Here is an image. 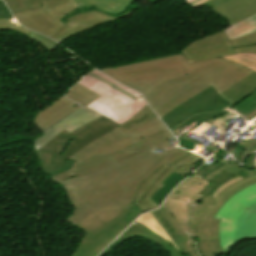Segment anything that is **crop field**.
<instances>
[{"label":"crop field","mask_w":256,"mask_h":256,"mask_svg":"<svg viewBox=\"0 0 256 256\" xmlns=\"http://www.w3.org/2000/svg\"><path fill=\"white\" fill-rule=\"evenodd\" d=\"M88 75H90V76H92V77H94V78L100 80L101 82H103V83L109 85L110 87L114 88L115 90H117V91H119V92L125 94L126 96H128L129 98H131V99L134 100V101H135L136 99H138V98H136V97H134V96H132V95L126 93L125 91L119 89V88L116 87L115 85H113V84H111V83H109V82H107V81H105V80H103V79H101V78H99V77H97V76L91 74V73H89Z\"/></svg>","instance_id":"crop-field-37"},{"label":"crop field","mask_w":256,"mask_h":256,"mask_svg":"<svg viewBox=\"0 0 256 256\" xmlns=\"http://www.w3.org/2000/svg\"><path fill=\"white\" fill-rule=\"evenodd\" d=\"M203 122L207 123L205 120ZM203 122H201L195 129H197ZM209 125L215 127L214 125H212L210 123H209ZM215 128H217V127H215Z\"/></svg>","instance_id":"crop-field-47"},{"label":"crop field","mask_w":256,"mask_h":256,"mask_svg":"<svg viewBox=\"0 0 256 256\" xmlns=\"http://www.w3.org/2000/svg\"><path fill=\"white\" fill-rule=\"evenodd\" d=\"M201 121H203V119L199 118V117H194L193 119H191L189 122H187L186 124H184L183 126H181L180 128L172 131V133L177 136L179 134H181L182 132H184L186 129L187 130H191L192 128H194L195 126H197Z\"/></svg>","instance_id":"crop-field-31"},{"label":"crop field","mask_w":256,"mask_h":256,"mask_svg":"<svg viewBox=\"0 0 256 256\" xmlns=\"http://www.w3.org/2000/svg\"><path fill=\"white\" fill-rule=\"evenodd\" d=\"M100 116L102 115L84 106L80 107L51 127L44 130L42 132L44 134L34 140L35 150L38 151L43 145H45L63 129L71 133Z\"/></svg>","instance_id":"crop-field-16"},{"label":"crop field","mask_w":256,"mask_h":256,"mask_svg":"<svg viewBox=\"0 0 256 256\" xmlns=\"http://www.w3.org/2000/svg\"><path fill=\"white\" fill-rule=\"evenodd\" d=\"M74 104L75 102L63 96L58 98L35 116V125L43 131L47 127L74 111L75 108L72 107Z\"/></svg>","instance_id":"crop-field-17"},{"label":"crop field","mask_w":256,"mask_h":256,"mask_svg":"<svg viewBox=\"0 0 256 256\" xmlns=\"http://www.w3.org/2000/svg\"><path fill=\"white\" fill-rule=\"evenodd\" d=\"M140 237L147 239L155 244L160 245L165 251L169 253V256H182L181 253H179L175 248H173L170 244L156 236L155 234L148 231L146 228L138 225L133 224L130 228H128L123 235H121L118 239L114 241L112 245H110L100 256H104L106 253H108L110 250H112L114 247H116L118 244L130 239Z\"/></svg>","instance_id":"crop-field-19"},{"label":"crop field","mask_w":256,"mask_h":256,"mask_svg":"<svg viewBox=\"0 0 256 256\" xmlns=\"http://www.w3.org/2000/svg\"><path fill=\"white\" fill-rule=\"evenodd\" d=\"M179 145L181 147H184V148H187V149H190V150H192L194 147L198 148V146H199L198 144L192 143L191 141H188V140L183 139V138L179 139Z\"/></svg>","instance_id":"crop-field-38"},{"label":"crop field","mask_w":256,"mask_h":256,"mask_svg":"<svg viewBox=\"0 0 256 256\" xmlns=\"http://www.w3.org/2000/svg\"><path fill=\"white\" fill-rule=\"evenodd\" d=\"M201 165V163H199V164H195V165H192V166H181V167H179V168H177L176 170H175V172H177L178 174H180V175H182V176H187L189 173H191V171H189L192 167H194L195 169L197 168V167H199ZM194 169V170H195Z\"/></svg>","instance_id":"crop-field-36"},{"label":"crop field","mask_w":256,"mask_h":256,"mask_svg":"<svg viewBox=\"0 0 256 256\" xmlns=\"http://www.w3.org/2000/svg\"><path fill=\"white\" fill-rule=\"evenodd\" d=\"M224 101L211 86L181 106L176 107L161 119L171 131L198 115L216 125L220 132L224 133L232 120L231 117L238 115L244 119L256 109V91L231 110H228L227 105L223 103Z\"/></svg>","instance_id":"crop-field-4"},{"label":"crop field","mask_w":256,"mask_h":256,"mask_svg":"<svg viewBox=\"0 0 256 256\" xmlns=\"http://www.w3.org/2000/svg\"><path fill=\"white\" fill-rule=\"evenodd\" d=\"M136 223L146 227L148 230H150L151 232L157 234L158 236H160L162 239H164L165 241L169 242L167 240V238L163 235V233L159 230V228L156 226V224L152 221V219L148 216V214L142 215L137 221H135Z\"/></svg>","instance_id":"crop-field-28"},{"label":"crop field","mask_w":256,"mask_h":256,"mask_svg":"<svg viewBox=\"0 0 256 256\" xmlns=\"http://www.w3.org/2000/svg\"><path fill=\"white\" fill-rule=\"evenodd\" d=\"M135 0H46L41 8L14 14L25 27L51 37L65 25L59 20L75 13L83 12L82 7L96 6L97 9L110 13H120ZM81 11L77 12L76 9Z\"/></svg>","instance_id":"crop-field-7"},{"label":"crop field","mask_w":256,"mask_h":256,"mask_svg":"<svg viewBox=\"0 0 256 256\" xmlns=\"http://www.w3.org/2000/svg\"><path fill=\"white\" fill-rule=\"evenodd\" d=\"M217 169L213 164L210 165L209 167L206 166L205 164L203 166H201L196 172L195 174H198L200 176L205 177L206 175H208L209 173H211L213 170Z\"/></svg>","instance_id":"crop-field-35"},{"label":"crop field","mask_w":256,"mask_h":256,"mask_svg":"<svg viewBox=\"0 0 256 256\" xmlns=\"http://www.w3.org/2000/svg\"><path fill=\"white\" fill-rule=\"evenodd\" d=\"M242 146H244L246 148V150L244 151V153L241 155V159H240V163H242L243 158L253 152L256 151V140L252 141V140H247L245 142L241 143Z\"/></svg>","instance_id":"crop-field-32"},{"label":"crop field","mask_w":256,"mask_h":256,"mask_svg":"<svg viewBox=\"0 0 256 256\" xmlns=\"http://www.w3.org/2000/svg\"><path fill=\"white\" fill-rule=\"evenodd\" d=\"M240 66L222 58L190 64L179 54L100 71L139 91L161 118L211 85L231 109L256 90V72Z\"/></svg>","instance_id":"crop-field-1"},{"label":"crop field","mask_w":256,"mask_h":256,"mask_svg":"<svg viewBox=\"0 0 256 256\" xmlns=\"http://www.w3.org/2000/svg\"><path fill=\"white\" fill-rule=\"evenodd\" d=\"M77 83L102 95L98 100L88 105V108L119 124L131 118L146 105L142 97L134 102L125 95L87 75Z\"/></svg>","instance_id":"crop-field-11"},{"label":"crop field","mask_w":256,"mask_h":256,"mask_svg":"<svg viewBox=\"0 0 256 256\" xmlns=\"http://www.w3.org/2000/svg\"><path fill=\"white\" fill-rule=\"evenodd\" d=\"M244 169H246L244 166L240 167L236 162L233 165H231L229 162V163L223 165L222 167L218 168L217 170L213 171L211 174H209L204 179L209 182L214 176H216L218 173L222 172L223 170L226 171L231 176H233L234 174H236Z\"/></svg>","instance_id":"crop-field-27"},{"label":"crop field","mask_w":256,"mask_h":256,"mask_svg":"<svg viewBox=\"0 0 256 256\" xmlns=\"http://www.w3.org/2000/svg\"><path fill=\"white\" fill-rule=\"evenodd\" d=\"M255 173L256 169H246L231 177L223 171L209 183L193 174L152 213L185 256H198L191 240L198 239L201 218L219 201L214 197L232 183Z\"/></svg>","instance_id":"crop-field-3"},{"label":"crop field","mask_w":256,"mask_h":256,"mask_svg":"<svg viewBox=\"0 0 256 256\" xmlns=\"http://www.w3.org/2000/svg\"><path fill=\"white\" fill-rule=\"evenodd\" d=\"M118 125L102 116L71 134L63 130L37 152L44 172L53 177L69 170L75 162L70 156Z\"/></svg>","instance_id":"crop-field-6"},{"label":"crop field","mask_w":256,"mask_h":256,"mask_svg":"<svg viewBox=\"0 0 256 256\" xmlns=\"http://www.w3.org/2000/svg\"><path fill=\"white\" fill-rule=\"evenodd\" d=\"M146 139L151 141L158 148H172L176 146V143H177V140L174 138V136L170 133L169 130L141 139L139 141H136V143Z\"/></svg>","instance_id":"crop-field-23"},{"label":"crop field","mask_w":256,"mask_h":256,"mask_svg":"<svg viewBox=\"0 0 256 256\" xmlns=\"http://www.w3.org/2000/svg\"><path fill=\"white\" fill-rule=\"evenodd\" d=\"M231 62L245 65L256 71V54H239L222 57Z\"/></svg>","instance_id":"crop-field-26"},{"label":"crop field","mask_w":256,"mask_h":256,"mask_svg":"<svg viewBox=\"0 0 256 256\" xmlns=\"http://www.w3.org/2000/svg\"><path fill=\"white\" fill-rule=\"evenodd\" d=\"M137 1V0H136Z\"/></svg>","instance_id":"crop-field-49"},{"label":"crop field","mask_w":256,"mask_h":256,"mask_svg":"<svg viewBox=\"0 0 256 256\" xmlns=\"http://www.w3.org/2000/svg\"><path fill=\"white\" fill-rule=\"evenodd\" d=\"M181 53L190 63L230 54L256 53V33L229 41L222 30L189 44Z\"/></svg>","instance_id":"crop-field-10"},{"label":"crop field","mask_w":256,"mask_h":256,"mask_svg":"<svg viewBox=\"0 0 256 256\" xmlns=\"http://www.w3.org/2000/svg\"><path fill=\"white\" fill-rule=\"evenodd\" d=\"M166 128L159 119L129 134L116 128L73 155L71 158L77 161L71 170L75 172L108 159L114 162L126 155L135 153V151L120 149L135 144L134 141L138 139L166 130Z\"/></svg>","instance_id":"crop-field-9"},{"label":"crop field","mask_w":256,"mask_h":256,"mask_svg":"<svg viewBox=\"0 0 256 256\" xmlns=\"http://www.w3.org/2000/svg\"><path fill=\"white\" fill-rule=\"evenodd\" d=\"M136 10H138V7L118 17H111L110 13L98 10L75 14L69 18L68 24L51 38L62 43L77 33L100 26L106 22L123 18Z\"/></svg>","instance_id":"crop-field-15"},{"label":"crop field","mask_w":256,"mask_h":256,"mask_svg":"<svg viewBox=\"0 0 256 256\" xmlns=\"http://www.w3.org/2000/svg\"><path fill=\"white\" fill-rule=\"evenodd\" d=\"M157 149L156 146H154L151 142H149L148 140L143 141L141 143L135 144L133 146L127 147L125 148V150H135V151H140L138 153L126 156L116 162H112L110 160L105 161L103 163L94 165L92 167L80 170L78 172L73 173L71 170L62 173L60 175H57L53 178H51L53 181H55L56 183L60 184V185H65L116 167H119L120 165H123L139 156H142L150 151H153Z\"/></svg>","instance_id":"crop-field-14"},{"label":"crop field","mask_w":256,"mask_h":256,"mask_svg":"<svg viewBox=\"0 0 256 256\" xmlns=\"http://www.w3.org/2000/svg\"><path fill=\"white\" fill-rule=\"evenodd\" d=\"M256 116V110H254L249 116H247L244 120L245 122H249L252 118Z\"/></svg>","instance_id":"crop-field-43"},{"label":"crop field","mask_w":256,"mask_h":256,"mask_svg":"<svg viewBox=\"0 0 256 256\" xmlns=\"http://www.w3.org/2000/svg\"><path fill=\"white\" fill-rule=\"evenodd\" d=\"M149 216L153 219V221L157 224V226L160 228V230L164 233V235L168 238V240L170 241V244L172 246H174L178 251H180L175 244L172 242V240L169 238V236L167 235V233L165 232V230L162 228V226L160 225V223L157 221V219L152 215L151 212L148 213Z\"/></svg>","instance_id":"crop-field-39"},{"label":"crop field","mask_w":256,"mask_h":256,"mask_svg":"<svg viewBox=\"0 0 256 256\" xmlns=\"http://www.w3.org/2000/svg\"><path fill=\"white\" fill-rule=\"evenodd\" d=\"M0 19H14L3 0L0 1Z\"/></svg>","instance_id":"crop-field-34"},{"label":"crop field","mask_w":256,"mask_h":256,"mask_svg":"<svg viewBox=\"0 0 256 256\" xmlns=\"http://www.w3.org/2000/svg\"><path fill=\"white\" fill-rule=\"evenodd\" d=\"M157 119L156 115L151 111V109L146 105L139 113H137L133 118L127 120L126 122L120 124L119 129L129 133L153 120Z\"/></svg>","instance_id":"crop-field-20"},{"label":"crop field","mask_w":256,"mask_h":256,"mask_svg":"<svg viewBox=\"0 0 256 256\" xmlns=\"http://www.w3.org/2000/svg\"><path fill=\"white\" fill-rule=\"evenodd\" d=\"M187 4H191L193 2H195L196 0H185Z\"/></svg>","instance_id":"crop-field-48"},{"label":"crop field","mask_w":256,"mask_h":256,"mask_svg":"<svg viewBox=\"0 0 256 256\" xmlns=\"http://www.w3.org/2000/svg\"><path fill=\"white\" fill-rule=\"evenodd\" d=\"M196 242H197V240H196V241H193V243H194V245H195V248H196V251H197V253H198L199 256H202L201 253L199 252L198 248H197Z\"/></svg>","instance_id":"crop-field-45"},{"label":"crop field","mask_w":256,"mask_h":256,"mask_svg":"<svg viewBox=\"0 0 256 256\" xmlns=\"http://www.w3.org/2000/svg\"><path fill=\"white\" fill-rule=\"evenodd\" d=\"M28 37L37 40L39 43H41L43 46H45L50 51L58 46L57 43L51 41L49 38L41 36V35L33 33V32Z\"/></svg>","instance_id":"crop-field-30"},{"label":"crop field","mask_w":256,"mask_h":256,"mask_svg":"<svg viewBox=\"0 0 256 256\" xmlns=\"http://www.w3.org/2000/svg\"><path fill=\"white\" fill-rule=\"evenodd\" d=\"M211 10L232 25L256 13V0H232Z\"/></svg>","instance_id":"crop-field-18"},{"label":"crop field","mask_w":256,"mask_h":256,"mask_svg":"<svg viewBox=\"0 0 256 256\" xmlns=\"http://www.w3.org/2000/svg\"><path fill=\"white\" fill-rule=\"evenodd\" d=\"M245 150L244 147H242L241 145L238 146V148L236 149L234 155H235V158L237 159V161L239 162V159H240V155L242 154V152Z\"/></svg>","instance_id":"crop-field-42"},{"label":"crop field","mask_w":256,"mask_h":256,"mask_svg":"<svg viewBox=\"0 0 256 256\" xmlns=\"http://www.w3.org/2000/svg\"><path fill=\"white\" fill-rule=\"evenodd\" d=\"M140 214L142 212L134 203L104 207L93 212L75 225L86 233L71 256H97Z\"/></svg>","instance_id":"crop-field-5"},{"label":"crop field","mask_w":256,"mask_h":256,"mask_svg":"<svg viewBox=\"0 0 256 256\" xmlns=\"http://www.w3.org/2000/svg\"><path fill=\"white\" fill-rule=\"evenodd\" d=\"M179 137H183V138L188 139V138L186 137V135H184V134H183V135H181V136H179ZM188 140H190V139H188ZM191 141H192V140H191ZM195 143H196V142H195ZM198 144H199V143H198ZM207 147H208V146H207ZM209 148H211V149H213V150H215V151H216V149H214V148H212V147H210V146H209Z\"/></svg>","instance_id":"crop-field-46"},{"label":"crop field","mask_w":256,"mask_h":256,"mask_svg":"<svg viewBox=\"0 0 256 256\" xmlns=\"http://www.w3.org/2000/svg\"><path fill=\"white\" fill-rule=\"evenodd\" d=\"M11 12L17 13L19 11L30 9V8H38L40 7L41 0H4Z\"/></svg>","instance_id":"crop-field-25"},{"label":"crop field","mask_w":256,"mask_h":256,"mask_svg":"<svg viewBox=\"0 0 256 256\" xmlns=\"http://www.w3.org/2000/svg\"><path fill=\"white\" fill-rule=\"evenodd\" d=\"M255 182L256 174L232 184L215 197L220 201L202 218L199 226V240L197 245L203 256H218L223 253L218 237L219 221L212 218L230 197Z\"/></svg>","instance_id":"crop-field-12"},{"label":"crop field","mask_w":256,"mask_h":256,"mask_svg":"<svg viewBox=\"0 0 256 256\" xmlns=\"http://www.w3.org/2000/svg\"><path fill=\"white\" fill-rule=\"evenodd\" d=\"M190 152L156 150L122 167L63 186L73 207L66 220L78 223L100 207L134 201L138 186L163 164L173 165Z\"/></svg>","instance_id":"crop-field-2"},{"label":"crop field","mask_w":256,"mask_h":256,"mask_svg":"<svg viewBox=\"0 0 256 256\" xmlns=\"http://www.w3.org/2000/svg\"><path fill=\"white\" fill-rule=\"evenodd\" d=\"M183 178L184 177L173 172V174L163 182L165 185L158 192H156V194L151 199L160 205L166 194Z\"/></svg>","instance_id":"crop-field-24"},{"label":"crop field","mask_w":256,"mask_h":256,"mask_svg":"<svg viewBox=\"0 0 256 256\" xmlns=\"http://www.w3.org/2000/svg\"><path fill=\"white\" fill-rule=\"evenodd\" d=\"M0 30H12L26 36H28L31 33V31L22 27L15 20H0Z\"/></svg>","instance_id":"crop-field-29"},{"label":"crop field","mask_w":256,"mask_h":256,"mask_svg":"<svg viewBox=\"0 0 256 256\" xmlns=\"http://www.w3.org/2000/svg\"><path fill=\"white\" fill-rule=\"evenodd\" d=\"M256 153L251 154L248 159L246 160V164L244 165L246 168H256L254 165V158Z\"/></svg>","instance_id":"crop-field-41"},{"label":"crop field","mask_w":256,"mask_h":256,"mask_svg":"<svg viewBox=\"0 0 256 256\" xmlns=\"http://www.w3.org/2000/svg\"><path fill=\"white\" fill-rule=\"evenodd\" d=\"M229 40L256 32V14L224 29Z\"/></svg>","instance_id":"crop-field-21"},{"label":"crop field","mask_w":256,"mask_h":256,"mask_svg":"<svg viewBox=\"0 0 256 256\" xmlns=\"http://www.w3.org/2000/svg\"><path fill=\"white\" fill-rule=\"evenodd\" d=\"M199 159H201V157L191 153L171 167L166 164L160 167L140 185L137 190L134 203L141 209L142 212L156 208L158 205H156V203L150 198L163 186L161 183L168 176H170L177 167L181 165H192L198 163L197 160Z\"/></svg>","instance_id":"crop-field-13"},{"label":"crop field","mask_w":256,"mask_h":256,"mask_svg":"<svg viewBox=\"0 0 256 256\" xmlns=\"http://www.w3.org/2000/svg\"><path fill=\"white\" fill-rule=\"evenodd\" d=\"M215 219L223 251L244 238H256V183L229 199Z\"/></svg>","instance_id":"crop-field-8"},{"label":"crop field","mask_w":256,"mask_h":256,"mask_svg":"<svg viewBox=\"0 0 256 256\" xmlns=\"http://www.w3.org/2000/svg\"><path fill=\"white\" fill-rule=\"evenodd\" d=\"M227 1H230V0H210V1L206 2V3H204V5H206L209 8H213V7L218 6V5L222 4V3H225Z\"/></svg>","instance_id":"crop-field-40"},{"label":"crop field","mask_w":256,"mask_h":256,"mask_svg":"<svg viewBox=\"0 0 256 256\" xmlns=\"http://www.w3.org/2000/svg\"><path fill=\"white\" fill-rule=\"evenodd\" d=\"M91 73H93V74H95V75H97V76H99V77H101V78H103V79H106V80H108V81L114 83V84L117 85L119 88L125 90L126 92H128V93H130V94H132V95H134V96H136V97H138V98L141 97L137 92H135V91H133V90H130V89H128V88H126V87L120 85L119 83L113 81L112 79L108 78L107 76H105V75H103V74H101V73H99V72H97V71H95V70L92 71Z\"/></svg>","instance_id":"crop-field-33"},{"label":"crop field","mask_w":256,"mask_h":256,"mask_svg":"<svg viewBox=\"0 0 256 256\" xmlns=\"http://www.w3.org/2000/svg\"><path fill=\"white\" fill-rule=\"evenodd\" d=\"M205 1H207V0H198L195 3L191 4L190 6H192L194 8L195 6L201 4V3L205 2Z\"/></svg>","instance_id":"crop-field-44"},{"label":"crop field","mask_w":256,"mask_h":256,"mask_svg":"<svg viewBox=\"0 0 256 256\" xmlns=\"http://www.w3.org/2000/svg\"><path fill=\"white\" fill-rule=\"evenodd\" d=\"M66 96L76 100L77 102L88 105L100 97L97 93L79 85H76L66 94Z\"/></svg>","instance_id":"crop-field-22"}]
</instances>
